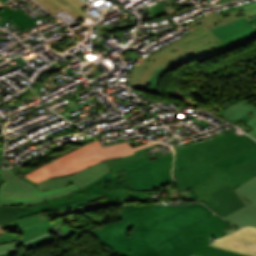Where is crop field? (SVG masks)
Listing matches in <instances>:
<instances>
[{
    "label": "crop field",
    "mask_w": 256,
    "mask_h": 256,
    "mask_svg": "<svg viewBox=\"0 0 256 256\" xmlns=\"http://www.w3.org/2000/svg\"><path fill=\"white\" fill-rule=\"evenodd\" d=\"M213 215L202 204L122 205L123 221L89 232L122 256H190L195 251L180 231Z\"/></svg>",
    "instance_id": "8a807250"
},
{
    "label": "crop field",
    "mask_w": 256,
    "mask_h": 256,
    "mask_svg": "<svg viewBox=\"0 0 256 256\" xmlns=\"http://www.w3.org/2000/svg\"><path fill=\"white\" fill-rule=\"evenodd\" d=\"M155 144L157 143L151 142L133 148L131 145L125 142L103 148L99 141H95L85 147L66 154L65 156L37 170H34L25 176L39 183L49 178L60 177L78 172L102 160L134 155L133 151Z\"/></svg>",
    "instance_id": "ac0d7876"
},
{
    "label": "crop field",
    "mask_w": 256,
    "mask_h": 256,
    "mask_svg": "<svg viewBox=\"0 0 256 256\" xmlns=\"http://www.w3.org/2000/svg\"><path fill=\"white\" fill-rule=\"evenodd\" d=\"M240 12L241 10L239 9L223 15H217V13H213L203 17L197 22L190 23L189 25L192 32L178 40L189 54L170 61L167 65L156 71L152 78L149 80V83L153 87L150 92L154 94H162L159 89V79L160 76L164 73L171 71L192 60L199 62L217 56L211 47L221 43V41L215 37L206 27L240 15Z\"/></svg>",
    "instance_id": "34b2d1b8"
},
{
    "label": "crop field",
    "mask_w": 256,
    "mask_h": 256,
    "mask_svg": "<svg viewBox=\"0 0 256 256\" xmlns=\"http://www.w3.org/2000/svg\"><path fill=\"white\" fill-rule=\"evenodd\" d=\"M123 187H128L126 171L117 173L108 172L100 179L85 187L84 189L79 188L74 193L66 197L58 199H45L43 200L44 204L30 206L29 210L15 214V216L18 219L39 212L71 208L79 205H84L86 203H91L104 196L108 199L100 201L101 207L123 204L121 200L111 196L106 192L109 190Z\"/></svg>",
    "instance_id": "412701ff"
},
{
    "label": "crop field",
    "mask_w": 256,
    "mask_h": 256,
    "mask_svg": "<svg viewBox=\"0 0 256 256\" xmlns=\"http://www.w3.org/2000/svg\"><path fill=\"white\" fill-rule=\"evenodd\" d=\"M0 176L6 181L0 186V205H35L43 203L42 199L65 196L78 189L71 183L64 188L38 192L36 187L18 179L10 169L1 168Z\"/></svg>",
    "instance_id": "f4fd0767"
},
{
    "label": "crop field",
    "mask_w": 256,
    "mask_h": 256,
    "mask_svg": "<svg viewBox=\"0 0 256 256\" xmlns=\"http://www.w3.org/2000/svg\"><path fill=\"white\" fill-rule=\"evenodd\" d=\"M252 147L255 146L230 131L216 138L175 151L191 160L210 164Z\"/></svg>",
    "instance_id": "dd49c442"
},
{
    "label": "crop field",
    "mask_w": 256,
    "mask_h": 256,
    "mask_svg": "<svg viewBox=\"0 0 256 256\" xmlns=\"http://www.w3.org/2000/svg\"><path fill=\"white\" fill-rule=\"evenodd\" d=\"M222 170L233 189L253 177L232 170L194 162L177 153L173 176L181 191L191 188L193 185Z\"/></svg>",
    "instance_id": "e52e79f7"
},
{
    "label": "crop field",
    "mask_w": 256,
    "mask_h": 256,
    "mask_svg": "<svg viewBox=\"0 0 256 256\" xmlns=\"http://www.w3.org/2000/svg\"><path fill=\"white\" fill-rule=\"evenodd\" d=\"M230 225V223L215 215L193 227L182 231V233L195 249L196 252L194 254L201 256H249L206 246L209 244L208 241L212 240L211 238H220L227 235L221 229Z\"/></svg>",
    "instance_id": "d8731c3e"
},
{
    "label": "crop field",
    "mask_w": 256,
    "mask_h": 256,
    "mask_svg": "<svg viewBox=\"0 0 256 256\" xmlns=\"http://www.w3.org/2000/svg\"><path fill=\"white\" fill-rule=\"evenodd\" d=\"M67 217L53 220L51 217L42 221L37 214L1 225L6 234L0 235V244L21 239L22 243L48 233ZM52 224H49V223Z\"/></svg>",
    "instance_id": "5a996713"
},
{
    "label": "crop field",
    "mask_w": 256,
    "mask_h": 256,
    "mask_svg": "<svg viewBox=\"0 0 256 256\" xmlns=\"http://www.w3.org/2000/svg\"><path fill=\"white\" fill-rule=\"evenodd\" d=\"M184 54H187V52L177 41L160 52L137 63L131 74L132 86L149 92L150 88L147 86V83L153 73L170 60Z\"/></svg>",
    "instance_id": "3316defc"
},
{
    "label": "crop field",
    "mask_w": 256,
    "mask_h": 256,
    "mask_svg": "<svg viewBox=\"0 0 256 256\" xmlns=\"http://www.w3.org/2000/svg\"><path fill=\"white\" fill-rule=\"evenodd\" d=\"M112 172L127 170L131 190L147 191L159 186L147 156L110 167Z\"/></svg>",
    "instance_id": "28ad6ade"
},
{
    "label": "crop field",
    "mask_w": 256,
    "mask_h": 256,
    "mask_svg": "<svg viewBox=\"0 0 256 256\" xmlns=\"http://www.w3.org/2000/svg\"><path fill=\"white\" fill-rule=\"evenodd\" d=\"M108 171H110L108 165L106 161H103L78 173L43 181L37 185V188L39 191L52 190L55 188L63 187L71 182L79 187L84 188Z\"/></svg>",
    "instance_id": "d1516ede"
},
{
    "label": "crop field",
    "mask_w": 256,
    "mask_h": 256,
    "mask_svg": "<svg viewBox=\"0 0 256 256\" xmlns=\"http://www.w3.org/2000/svg\"><path fill=\"white\" fill-rule=\"evenodd\" d=\"M234 190L252 203L224 218L238 227H256V176Z\"/></svg>",
    "instance_id": "22f410ed"
},
{
    "label": "crop field",
    "mask_w": 256,
    "mask_h": 256,
    "mask_svg": "<svg viewBox=\"0 0 256 256\" xmlns=\"http://www.w3.org/2000/svg\"><path fill=\"white\" fill-rule=\"evenodd\" d=\"M209 245L256 256V229L248 227L238 230Z\"/></svg>",
    "instance_id": "cbeb9de0"
},
{
    "label": "crop field",
    "mask_w": 256,
    "mask_h": 256,
    "mask_svg": "<svg viewBox=\"0 0 256 256\" xmlns=\"http://www.w3.org/2000/svg\"><path fill=\"white\" fill-rule=\"evenodd\" d=\"M220 203L210 207L215 213L223 217L250 202L235 192L230 184L209 194Z\"/></svg>",
    "instance_id": "5142ce71"
},
{
    "label": "crop field",
    "mask_w": 256,
    "mask_h": 256,
    "mask_svg": "<svg viewBox=\"0 0 256 256\" xmlns=\"http://www.w3.org/2000/svg\"><path fill=\"white\" fill-rule=\"evenodd\" d=\"M229 184L223 172H220L205 181L193 186L199 200L196 202H203L208 207L218 203L213 197L208 194Z\"/></svg>",
    "instance_id": "d9b57169"
},
{
    "label": "crop field",
    "mask_w": 256,
    "mask_h": 256,
    "mask_svg": "<svg viewBox=\"0 0 256 256\" xmlns=\"http://www.w3.org/2000/svg\"><path fill=\"white\" fill-rule=\"evenodd\" d=\"M39 4L55 14L61 10L68 12L77 21L88 17L81 9L88 6L80 0H36Z\"/></svg>",
    "instance_id": "733c2abd"
},
{
    "label": "crop field",
    "mask_w": 256,
    "mask_h": 256,
    "mask_svg": "<svg viewBox=\"0 0 256 256\" xmlns=\"http://www.w3.org/2000/svg\"><path fill=\"white\" fill-rule=\"evenodd\" d=\"M250 111L253 112L255 115L246 125H248L253 130L247 133L254 137L256 136V105H253L242 99L241 101L227 108L222 114L235 120Z\"/></svg>",
    "instance_id": "4a817a6b"
},
{
    "label": "crop field",
    "mask_w": 256,
    "mask_h": 256,
    "mask_svg": "<svg viewBox=\"0 0 256 256\" xmlns=\"http://www.w3.org/2000/svg\"><path fill=\"white\" fill-rule=\"evenodd\" d=\"M253 29L256 28L251 26L249 22L245 18H243L238 21L211 30V32L223 42L229 38L251 31Z\"/></svg>",
    "instance_id": "bc2a9ffb"
},
{
    "label": "crop field",
    "mask_w": 256,
    "mask_h": 256,
    "mask_svg": "<svg viewBox=\"0 0 256 256\" xmlns=\"http://www.w3.org/2000/svg\"><path fill=\"white\" fill-rule=\"evenodd\" d=\"M172 160L173 152L158 161L150 162L160 186L174 182L171 177Z\"/></svg>",
    "instance_id": "214f88e0"
},
{
    "label": "crop field",
    "mask_w": 256,
    "mask_h": 256,
    "mask_svg": "<svg viewBox=\"0 0 256 256\" xmlns=\"http://www.w3.org/2000/svg\"><path fill=\"white\" fill-rule=\"evenodd\" d=\"M240 137L244 138L245 140H247L248 142L256 146V142L252 140L250 137H248L247 135L244 134ZM254 157H256V148H252L250 150L244 151L242 153H239L234 156L228 157L226 159L220 160L218 162L212 163L211 165L228 168L230 166L236 165L238 163L244 162Z\"/></svg>",
    "instance_id": "92a150f3"
},
{
    "label": "crop field",
    "mask_w": 256,
    "mask_h": 256,
    "mask_svg": "<svg viewBox=\"0 0 256 256\" xmlns=\"http://www.w3.org/2000/svg\"><path fill=\"white\" fill-rule=\"evenodd\" d=\"M256 39V30L245 33L243 35L237 36L235 38L229 39L222 44H219L213 47L217 55L228 52L232 49H235L239 46H242L252 40Z\"/></svg>",
    "instance_id": "dafd665d"
},
{
    "label": "crop field",
    "mask_w": 256,
    "mask_h": 256,
    "mask_svg": "<svg viewBox=\"0 0 256 256\" xmlns=\"http://www.w3.org/2000/svg\"><path fill=\"white\" fill-rule=\"evenodd\" d=\"M12 10V9H11ZM7 6H5L2 10H0V16L5 17L9 20L11 18L13 21L22 29H26L37 24L33 19H31L28 15H26L20 9L16 11H11Z\"/></svg>",
    "instance_id": "00972430"
},
{
    "label": "crop field",
    "mask_w": 256,
    "mask_h": 256,
    "mask_svg": "<svg viewBox=\"0 0 256 256\" xmlns=\"http://www.w3.org/2000/svg\"><path fill=\"white\" fill-rule=\"evenodd\" d=\"M98 207H100L99 201L93 202L91 204H86L84 206H79L76 208L62 210V211H50V212H46V213H40V214H38V216L40 217V219H43L48 216H51L53 219H56V218H60V217H64V216H70V215H73V214H76L79 212H83V211L98 208Z\"/></svg>",
    "instance_id": "a9b5d70f"
},
{
    "label": "crop field",
    "mask_w": 256,
    "mask_h": 256,
    "mask_svg": "<svg viewBox=\"0 0 256 256\" xmlns=\"http://www.w3.org/2000/svg\"><path fill=\"white\" fill-rule=\"evenodd\" d=\"M108 193L120 198L122 201L146 200V192H129L127 188L109 191Z\"/></svg>",
    "instance_id": "4177f3b9"
},
{
    "label": "crop field",
    "mask_w": 256,
    "mask_h": 256,
    "mask_svg": "<svg viewBox=\"0 0 256 256\" xmlns=\"http://www.w3.org/2000/svg\"><path fill=\"white\" fill-rule=\"evenodd\" d=\"M28 208V206H0V225L16 220L13 214Z\"/></svg>",
    "instance_id": "730fd06b"
},
{
    "label": "crop field",
    "mask_w": 256,
    "mask_h": 256,
    "mask_svg": "<svg viewBox=\"0 0 256 256\" xmlns=\"http://www.w3.org/2000/svg\"><path fill=\"white\" fill-rule=\"evenodd\" d=\"M228 169H232L235 171H239L242 173H246V174L255 176L256 175V158L249 160L247 162L241 163L239 165L233 166Z\"/></svg>",
    "instance_id": "eef30255"
},
{
    "label": "crop field",
    "mask_w": 256,
    "mask_h": 256,
    "mask_svg": "<svg viewBox=\"0 0 256 256\" xmlns=\"http://www.w3.org/2000/svg\"><path fill=\"white\" fill-rule=\"evenodd\" d=\"M55 239V237L51 236V235H46V236H43L41 238H38V239H35L33 241H30V242H27L25 244H23L26 248V250L28 249H31V248H34V247H37L39 245H43L51 240Z\"/></svg>",
    "instance_id": "ae1a2a85"
},
{
    "label": "crop field",
    "mask_w": 256,
    "mask_h": 256,
    "mask_svg": "<svg viewBox=\"0 0 256 256\" xmlns=\"http://www.w3.org/2000/svg\"><path fill=\"white\" fill-rule=\"evenodd\" d=\"M21 244V241H15L0 245V252L9 251Z\"/></svg>",
    "instance_id": "d3111659"
},
{
    "label": "crop field",
    "mask_w": 256,
    "mask_h": 256,
    "mask_svg": "<svg viewBox=\"0 0 256 256\" xmlns=\"http://www.w3.org/2000/svg\"><path fill=\"white\" fill-rule=\"evenodd\" d=\"M163 2H164V5H165V8H166V11H167L168 15L173 13V12H176L174 7L172 6V4L169 2V0H165Z\"/></svg>",
    "instance_id": "750c4746"
},
{
    "label": "crop field",
    "mask_w": 256,
    "mask_h": 256,
    "mask_svg": "<svg viewBox=\"0 0 256 256\" xmlns=\"http://www.w3.org/2000/svg\"><path fill=\"white\" fill-rule=\"evenodd\" d=\"M247 17L256 14V6L243 11Z\"/></svg>",
    "instance_id": "bd1437ed"
},
{
    "label": "crop field",
    "mask_w": 256,
    "mask_h": 256,
    "mask_svg": "<svg viewBox=\"0 0 256 256\" xmlns=\"http://www.w3.org/2000/svg\"><path fill=\"white\" fill-rule=\"evenodd\" d=\"M94 101H95V100L92 99V100H90V101H87V102H85V103H82V104H80V105H78V106H76V107H74V108H72V109H70V110H68V111H66V112L61 113V115L65 114V113H67V112H69V111H71V110H74V109H76V108H78V107H80V106H82V105H84V104L91 103V102H94ZM84 106H85V105H84Z\"/></svg>",
    "instance_id": "1d83c4d3"
},
{
    "label": "crop field",
    "mask_w": 256,
    "mask_h": 256,
    "mask_svg": "<svg viewBox=\"0 0 256 256\" xmlns=\"http://www.w3.org/2000/svg\"><path fill=\"white\" fill-rule=\"evenodd\" d=\"M2 148H3V146L2 147H0V167H1V164H2V161H3V158H4V156L2 155ZM5 181H3L1 178H0V185L2 184V183H4Z\"/></svg>",
    "instance_id": "120bbe31"
},
{
    "label": "crop field",
    "mask_w": 256,
    "mask_h": 256,
    "mask_svg": "<svg viewBox=\"0 0 256 256\" xmlns=\"http://www.w3.org/2000/svg\"><path fill=\"white\" fill-rule=\"evenodd\" d=\"M238 8H239V6H236V7H232V8L220 10V12L223 14V13H226V12H228V11H232V10H235V9H238Z\"/></svg>",
    "instance_id": "d32e631a"
},
{
    "label": "crop field",
    "mask_w": 256,
    "mask_h": 256,
    "mask_svg": "<svg viewBox=\"0 0 256 256\" xmlns=\"http://www.w3.org/2000/svg\"><path fill=\"white\" fill-rule=\"evenodd\" d=\"M14 253H19L18 249L14 250L12 252H9V253L1 254L0 256H10V255H12Z\"/></svg>",
    "instance_id": "5866460e"
},
{
    "label": "crop field",
    "mask_w": 256,
    "mask_h": 256,
    "mask_svg": "<svg viewBox=\"0 0 256 256\" xmlns=\"http://www.w3.org/2000/svg\"><path fill=\"white\" fill-rule=\"evenodd\" d=\"M8 22V20H6V19H2L1 21H0V26L2 27L4 24H6Z\"/></svg>",
    "instance_id": "028f5c9d"
},
{
    "label": "crop field",
    "mask_w": 256,
    "mask_h": 256,
    "mask_svg": "<svg viewBox=\"0 0 256 256\" xmlns=\"http://www.w3.org/2000/svg\"><path fill=\"white\" fill-rule=\"evenodd\" d=\"M84 19H85L84 21H85L87 24L93 22V20H92L90 17L84 18Z\"/></svg>",
    "instance_id": "e1f06a70"
},
{
    "label": "crop field",
    "mask_w": 256,
    "mask_h": 256,
    "mask_svg": "<svg viewBox=\"0 0 256 256\" xmlns=\"http://www.w3.org/2000/svg\"><path fill=\"white\" fill-rule=\"evenodd\" d=\"M256 5V2L253 3V4H250V5H247V6H244L242 7V10L246 9V8H249V7H252V6H255Z\"/></svg>",
    "instance_id": "0bd39190"
},
{
    "label": "crop field",
    "mask_w": 256,
    "mask_h": 256,
    "mask_svg": "<svg viewBox=\"0 0 256 256\" xmlns=\"http://www.w3.org/2000/svg\"><path fill=\"white\" fill-rule=\"evenodd\" d=\"M228 1H232V0H221L219 3L217 4H220V3H224V2H228Z\"/></svg>",
    "instance_id": "b80d0937"
},
{
    "label": "crop field",
    "mask_w": 256,
    "mask_h": 256,
    "mask_svg": "<svg viewBox=\"0 0 256 256\" xmlns=\"http://www.w3.org/2000/svg\"><path fill=\"white\" fill-rule=\"evenodd\" d=\"M252 22H253V24L256 26V18H253V19H250Z\"/></svg>",
    "instance_id": "c035e120"
},
{
    "label": "crop field",
    "mask_w": 256,
    "mask_h": 256,
    "mask_svg": "<svg viewBox=\"0 0 256 256\" xmlns=\"http://www.w3.org/2000/svg\"><path fill=\"white\" fill-rule=\"evenodd\" d=\"M1 2H3L4 4L7 2V0H0Z\"/></svg>",
    "instance_id": "c21b1889"
},
{
    "label": "crop field",
    "mask_w": 256,
    "mask_h": 256,
    "mask_svg": "<svg viewBox=\"0 0 256 256\" xmlns=\"http://www.w3.org/2000/svg\"><path fill=\"white\" fill-rule=\"evenodd\" d=\"M4 232H3V230L0 228V234H3Z\"/></svg>",
    "instance_id": "03da06ac"
},
{
    "label": "crop field",
    "mask_w": 256,
    "mask_h": 256,
    "mask_svg": "<svg viewBox=\"0 0 256 256\" xmlns=\"http://www.w3.org/2000/svg\"><path fill=\"white\" fill-rule=\"evenodd\" d=\"M4 4L0 2V8L3 6Z\"/></svg>",
    "instance_id": "b54c1fbb"
},
{
    "label": "crop field",
    "mask_w": 256,
    "mask_h": 256,
    "mask_svg": "<svg viewBox=\"0 0 256 256\" xmlns=\"http://www.w3.org/2000/svg\"><path fill=\"white\" fill-rule=\"evenodd\" d=\"M191 256H197V255L192 254Z\"/></svg>",
    "instance_id": "5d738f31"
}]
</instances>
